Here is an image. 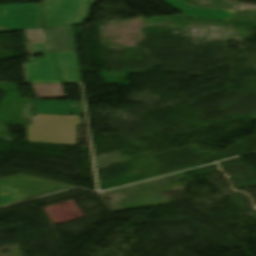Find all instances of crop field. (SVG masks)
<instances>
[{
	"label": "crop field",
	"instance_id": "10",
	"mask_svg": "<svg viewBox=\"0 0 256 256\" xmlns=\"http://www.w3.org/2000/svg\"><path fill=\"white\" fill-rule=\"evenodd\" d=\"M37 98L65 97L61 84H31Z\"/></svg>",
	"mask_w": 256,
	"mask_h": 256
},
{
	"label": "crop field",
	"instance_id": "7",
	"mask_svg": "<svg viewBox=\"0 0 256 256\" xmlns=\"http://www.w3.org/2000/svg\"><path fill=\"white\" fill-rule=\"evenodd\" d=\"M188 17L228 21L236 12L222 9L201 8L188 5L180 0H163Z\"/></svg>",
	"mask_w": 256,
	"mask_h": 256
},
{
	"label": "crop field",
	"instance_id": "1",
	"mask_svg": "<svg viewBox=\"0 0 256 256\" xmlns=\"http://www.w3.org/2000/svg\"><path fill=\"white\" fill-rule=\"evenodd\" d=\"M79 116L36 115L35 123L27 126L28 141L76 144Z\"/></svg>",
	"mask_w": 256,
	"mask_h": 256
},
{
	"label": "crop field",
	"instance_id": "13",
	"mask_svg": "<svg viewBox=\"0 0 256 256\" xmlns=\"http://www.w3.org/2000/svg\"><path fill=\"white\" fill-rule=\"evenodd\" d=\"M1 31H13V30H9V29H0V32Z\"/></svg>",
	"mask_w": 256,
	"mask_h": 256
},
{
	"label": "crop field",
	"instance_id": "3",
	"mask_svg": "<svg viewBox=\"0 0 256 256\" xmlns=\"http://www.w3.org/2000/svg\"><path fill=\"white\" fill-rule=\"evenodd\" d=\"M0 16V28L31 29L41 28V4L29 5H3Z\"/></svg>",
	"mask_w": 256,
	"mask_h": 256
},
{
	"label": "crop field",
	"instance_id": "5",
	"mask_svg": "<svg viewBox=\"0 0 256 256\" xmlns=\"http://www.w3.org/2000/svg\"><path fill=\"white\" fill-rule=\"evenodd\" d=\"M43 30L47 43L30 45L32 54L76 50L72 26Z\"/></svg>",
	"mask_w": 256,
	"mask_h": 256
},
{
	"label": "crop field",
	"instance_id": "4",
	"mask_svg": "<svg viewBox=\"0 0 256 256\" xmlns=\"http://www.w3.org/2000/svg\"><path fill=\"white\" fill-rule=\"evenodd\" d=\"M67 187L70 186L43 181L27 176H16L0 181V188L12 189L25 200Z\"/></svg>",
	"mask_w": 256,
	"mask_h": 256
},
{
	"label": "crop field",
	"instance_id": "8",
	"mask_svg": "<svg viewBox=\"0 0 256 256\" xmlns=\"http://www.w3.org/2000/svg\"><path fill=\"white\" fill-rule=\"evenodd\" d=\"M63 83L82 82L76 51L54 53Z\"/></svg>",
	"mask_w": 256,
	"mask_h": 256
},
{
	"label": "crop field",
	"instance_id": "9",
	"mask_svg": "<svg viewBox=\"0 0 256 256\" xmlns=\"http://www.w3.org/2000/svg\"><path fill=\"white\" fill-rule=\"evenodd\" d=\"M37 113L79 115L75 102L33 100Z\"/></svg>",
	"mask_w": 256,
	"mask_h": 256
},
{
	"label": "crop field",
	"instance_id": "2",
	"mask_svg": "<svg viewBox=\"0 0 256 256\" xmlns=\"http://www.w3.org/2000/svg\"><path fill=\"white\" fill-rule=\"evenodd\" d=\"M96 0H44L45 28L83 24Z\"/></svg>",
	"mask_w": 256,
	"mask_h": 256
},
{
	"label": "crop field",
	"instance_id": "12",
	"mask_svg": "<svg viewBox=\"0 0 256 256\" xmlns=\"http://www.w3.org/2000/svg\"><path fill=\"white\" fill-rule=\"evenodd\" d=\"M11 193L12 195H14L16 198H18L20 201H23L24 199H22L20 196H18L15 192H13L12 190H8V189H0V196L1 195H5V194H9Z\"/></svg>",
	"mask_w": 256,
	"mask_h": 256
},
{
	"label": "crop field",
	"instance_id": "11",
	"mask_svg": "<svg viewBox=\"0 0 256 256\" xmlns=\"http://www.w3.org/2000/svg\"><path fill=\"white\" fill-rule=\"evenodd\" d=\"M16 201H18V199H16L11 194L1 196L0 197V206L8 205V204H11V203L16 202Z\"/></svg>",
	"mask_w": 256,
	"mask_h": 256
},
{
	"label": "crop field",
	"instance_id": "6",
	"mask_svg": "<svg viewBox=\"0 0 256 256\" xmlns=\"http://www.w3.org/2000/svg\"><path fill=\"white\" fill-rule=\"evenodd\" d=\"M27 64L29 82H61L51 54Z\"/></svg>",
	"mask_w": 256,
	"mask_h": 256
}]
</instances>
